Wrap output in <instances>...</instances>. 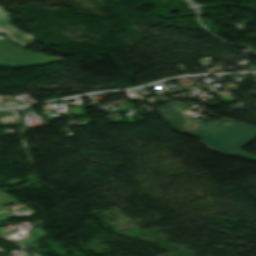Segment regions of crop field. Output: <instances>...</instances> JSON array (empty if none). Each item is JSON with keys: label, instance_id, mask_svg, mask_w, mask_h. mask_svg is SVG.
Listing matches in <instances>:
<instances>
[{"label": "crop field", "instance_id": "crop-field-1", "mask_svg": "<svg viewBox=\"0 0 256 256\" xmlns=\"http://www.w3.org/2000/svg\"><path fill=\"white\" fill-rule=\"evenodd\" d=\"M181 107L183 106L172 101L155 110L172 128L181 132H190L202 138L200 141L211 150L256 162V156L238 151L256 137V128L225 118L218 122H213L206 117L197 121L179 110ZM204 120L209 124H205ZM221 122L225 124L221 125Z\"/></svg>", "mask_w": 256, "mask_h": 256}, {"label": "crop field", "instance_id": "crop-field-2", "mask_svg": "<svg viewBox=\"0 0 256 256\" xmlns=\"http://www.w3.org/2000/svg\"><path fill=\"white\" fill-rule=\"evenodd\" d=\"M59 60L57 57L44 56L12 46L7 40L0 39V65L23 67L33 64Z\"/></svg>", "mask_w": 256, "mask_h": 256}, {"label": "crop field", "instance_id": "crop-field-3", "mask_svg": "<svg viewBox=\"0 0 256 256\" xmlns=\"http://www.w3.org/2000/svg\"><path fill=\"white\" fill-rule=\"evenodd\" d=\"M9 21L8 13L0 10V32H5L10 40L21 46H26L34 41L33 35L17 31L16 28L8 24Z\"/></svg>", "mask_w": 256, "mask_h": 256}, {"label": "crop field", "instance_id": "crop-field-4", "mask_svg": "<svg viewBox=\"0 0 256 256\" xmlns=\"http://www.w3.org/2000/svg\"><path fill=\"white\" fill-rule=\"evenodd\" d=\"M45 233L43 232V230L40 227L35 228L34 230H32V232L26 234L27 238L22 239L20 241H18L21 245L25 246L29 243H32L34 241V239H37L41 236H43Z\"/></svg>", "mask_w": 256, "mask_h": 256}, {"label": "crop field", "instance_id": "crop-field-5", "mask_svg": "<svg viewBox=\"0 0 256 256\" xmlns=\"http://www.w3.org/2000/svg\"><path fill=\"white\" fill-rule=\"evenodd\" d=\"M15 202H18V201L12 199L7 194L0 192V205H5V204H10V203H15Z\"/></svg>", "mask_w": 256, "mask_h": 256}, {"label": "crop field", "instance_id": "crop-field-6", "mask_svg": "<svg viewBox=\"0 0 256 256\" xmlns=\"http://www.w3.org/2000/svg\"><path fill=\"white\" fill-rule=\"evenodd\" d=\"M15 217L16 216L14 214L10 213V212L0 213V222H3L8 218H15Z\"/></svg>", "mask_w": 256, "mask_h": 256}, {"label": "crop field", "instance_id": "crop-field-7", "mask_svg": "<svg viewBox=\"0 0 256 256\" xmlns=\"http://www.w3.org/2000/svg\"><path fill=\"white\" fill-rule=\"evenodd\" d=\"M6 210L3 206H0V211Z\"/></svg>", "mask_w": 256, "mask_h": 256}]
</instances>
